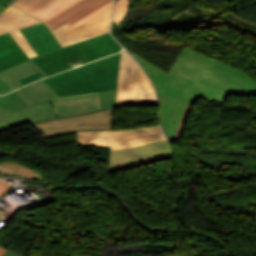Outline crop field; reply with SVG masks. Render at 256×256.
Returning a JSON list of instances; mask_svg holds the SVG:
<instances>
[{
  "label": "crop field",
  "instance_id": "crop-field-29",
  "mask_svg": "<svg viewBox=\"0 0 256 256\" xmlns=\"http://www.w3.org/2000/svg\"><path fill=\"white\" fill-rule=\"evenodd\" d=\"M5 251H6V249H3V248L1 247V248H0V256H2Z\"/></svg>",
  "mask_w": 256,
  "mask_h": 256
},
{
  "label": "crop field",
  "instance_id": "crop-field-27",
  "mask_svg": "<svg viewBox=\"0 0 256 256\" xmlns=\"http://www.w3.org/2000/svg\"><path fill=\"white\" fill-rule=\"evenodd\" d=\"M10 0H0V9L3 8Z\"/></svg>",
  "mask_w": 256,
  "mask_h": 256
},
{
  "label": "crop field",
  "instance_id": "crop-field-5",
  "mask_svg": "<svg viewBox=\"0 0 256 256\" xmlns=\"http://www.w3.org/2000/svg\"><path fill=\"white\" fill-rule=\"evenodd\" d=\"M164 139L159 125L120 131L77 132L78 145L111 149Z\"/></svg>",
  "mask_w": 256,
  "mask_h": 256
},
{
  "label": "crop field",
  "instance_id": "crop-field-22",
  "mask_svg": "<svg viewBox=\"0 0 256 256\" xmlns=\"http://www.w3.org/2000/svg\"><path fill=\"white\" fill-rule=\"evenodd\" d=\"M4 153H5L4 151L0 150V156H2ZM0 170L5 172L9 176H14V177H18V178H26V177H24V176H22V175H20V174H18L16 172H14V171H12V170L2 166L1 164H0Z\"/></svg>",
  "mask_w": 256,
  "mask_h": 256
},
{
  "label": "crop field",
  "instance_id": "crop-field-8",
  "mask_svg": "<svg viewBox=\"0 0 256 256\" xmlns=\"http://www.w3.org/2000/svg\"><path fill=\"white\" fill-rule=\"evenodd\" d=\"M173 154L166 140L111 150L109 170Z\"/></svg>",
  "mask_w": 256,
  "mask_h": 256
},
{
  "label": "crop field",
  "instance_id": "crop-field-13",
  "mask_svg": "<svg viewBox=\"0 0 256 256\" xmlns=\"http://www.w3.org/2000/svg\"><path fill=\"white\" fill-rule=\"evenodd\" d=\"M110 1L112 0H80L45 23L52 29L64 22L72 24Z\"/></svg>",
  "mask_w": 256,
  "mask_h": 256
},
{
  "label": "crop field",
  "instance_id": "crop-field-17",
  "mask_svg": "<svg viewBox=\"0 0 256 256\" xmlns=\"http://www.w3.org/2000/svg\"><path fill=\"white\" fill-rule=\"evenodd\" d=\"M39 71L45 77L47 75L39 68V66L32 60L25 61L3 71H0V77L13 89H17L22 85L17 79L27 76L29 74ZM43 77V78H45ZM42 79V78H41ZM39 80V79H38ZM37 81V80H36ZM35 82V81H34ZM32 83V82H31ZM30 84V83H29Z\"/></svg>",
  "mask_w": 256,
  "mask_h": 256
},
{
  "label": "crop field",
  "instance_id": "crop-field-10",
  "mask_svg": "<svg viewBox=\"0 0 256 256\" xmlns=\"http://www.w3.org/2000/svg\"><path fill=\"white\" fill-rule=\"evenodd\" d=\"M78 58H80L83 63L89 62L88 58L84 55L80 48L74 44L70 47L56 50L41 57L34 58L33 60L48 76H50L62 70L71 68L67 62Z\"/></svg>",
  "mask_w": 256,
  "mask_h": 256
},
{
  "label": "crop field",
  "instance_id": "crop-field-15",
  "mask_svg": "<svg viewBox=\"0 0 256 256\" xmlns=\"http://www.w3.org/2000/svg\"><path fill=\"white\" fill-rule=\"evenodd\" d=\"M90 61L121 51L109 33L77 44Z\"/></svg>",
  "mask_w": 256,
  "mask_h": 256
},
{
  "label": "crop field",
  "instance_id": "crop-field-28",
  "mask_svg": "<svg viewBox=\"0 0 256 256\" xmlns=\"http://www.w3.org/2000/svg\"><path fill=\"white\" fill-rule=\"evenodd\" d=\"M5 114H7V112L2 107H0V116Z\"/></svg>",
  "mask_w": 256,
  "mask_h": 256
},
{
  "label": "crop field",
  "instance_id": "crop-field-16",
  "mask_svg": "<svg viewBox=\"0 0 256 256\" xmlns=\"http://www.w3.org/2000/svg\"><path fill=\"white\" fill-rule=\"evenodd\" d=\"M28 59L9 33L0 35V70Z\"/></svg>",
  "mask_w": 256,
  "mask_h": 256
},
{
  "label": "crop field",
  "instance_id": "crop-field-7",
  "mask_svg": "<svg viewBox=\"0 0 256 256\" xmlns=\"http://www.w3.org/2000/svg\"><path fill=\"white\" fill-rule=\"evenodd\" d=\"M0 106L9 113L0 117V132L24 123L58 116L50 99L28 107L16 91L0 97Z\"/></svg>",
  "mask_w": 256,
  "mask_h": 256
},
{
  "label": "crop field",
  "instance_id": "crop-field-18",
  "mask_svg": "<svg viewBox=\"0 0 256 256\" xmlns=\"http://www.w3.org/2000/svg\"><path fill=\"white\" fill-rule=\"evenodd\" d=\"M27 105H32L40 101L59 96L43 80L25 86L17 90Z\"/></svg>",
  "mask_w": 256,
  "mask_h": 256
},
{
  "label": "crop field",
  "instance_id": "crop-field-3",
  "mask_svg": "<svg viewBox=\"0 0 256 256\" xmlns=\"http://www.w3.org/2000/svg\"><path fill=\"white\" fill-rule=\"evenodd\" d=\"M117 105H157L149 79L125 50L119 70Z\"/></svg>",
  "mask_w": 256,
  "mask_h": 256
},
{
  "label": "crop field",
  "instance_id": "crop-field-23",
  "mask_svg": "<svg viewBox=\"0 0 256 256\" xmlns=\"http://www.w3.org/2000/svg\"><path fill=\"white\" fill-rule=\"evenodd\" d=\"M43 77V75H41L39 72L35 73V74H32V75H29L27 77H24V78H21L19 79V81L21 82L22 85L26 84V83H29L33 80H36L38 78H41Z\"/></svg>",
  "mask_w": 256,
  "mask_h": 256
},
{
  "label": "crop field",
  "instance_id": "crop-field-31",
  "mask_svg": "<svg viewBox=\"0 0 256 256\" xmlns=\"http://www.w3.org/2000/svg\"><path fill=\"white\" fill-rule=\"evenodd\" d=\"M0 212L5 213L4 211H1V210H0Z\"/></svg>",
  "mask_w": 256,
  "mask_h": 256
},
{
  "label": "crop field",
  "instance_id": "crop-field-2",
  "mask_svg": "<svg viewBox=\"0 0 256 256\" xmlns=\"http://www.w3.org/2000/svg\"><path fill=\"white\" fill-rule=\"evenodd\" d=\"M121 53L44 79L60 96L117 89Z\"/></svg>",
  "mask_w": 256,
  "mask_h": 256
},
{
  "label": "crop field",
  "instance_id": "crop-field-11",
  "mask_svg": "<svg viewBox=\"0 0 256 256\" xmlns=\"http://www.w3.org/2000/svg\"><path fill=\"white\" fill-rule=\"evenodd\" d=\"M51 100L59 116L100 109L98 93L57 97Z\"/></svg>",
  "mask_w": 256,
  "mask_h": 256
},
{
  "label": "crop field",
  "instance_id": "crop-field-25",
  "mask_svg": "<svg viewBox=\"0 0 256 256\" xmlns=\"http://www.w3.org/2000/svg\"><path fill=\"white\" fill-rule=\"evenodd\" d=\"M9 185L5 183L4 181L0 180V196L9 189Z\"/></svg>",
  "mask_w": 256,
  "mask_h": 256
},
{
  "label": "crop field",
  "instance_id": "crop-field-26",
  "mask_svg": "<svg viewBox=\"0 0 256 256\" xmlns=\"http://www.w3.org/2000/svg\"><path fill=\"white\" fill-rule=\"evenodd\" d=\"M3 256H19V255L7 250Z\"/></svg>",
  "mask_w": 256,
  "mask_h": 256
},
{
  "label": "crop field",
  "instance_id": "crop-field-4",
  "mask_svg": "<svg viewBox=\"0 0 256 256\" xmlns=\"http://www.w3.org/2000/svg\"><path fill=\"white\" fill-rule=\"evenodd\" d=\"M114 108L31 123L46 139L76 131L112 130Z\"/></svg>",
  "mask_w": 256,
  "mask_h": 256
},
{
  "label": "crop field",
  "instance_id": "crop-field-21",
  "mask_svg": "<svg viewBox=\"0 0 256 256\" xmlns=\"http://www.w3.org/2000/svg\"><path fill=\"white\" fill-rule=\"evenodd\" d=\"M128 8V0H119L115 3L114 18L113 21L119 24Z\"/></svg>",
  "mask_w": 256,
  "mask_h": 256
},
{
  "label": "crop field",
  "instance_id": "crop-field-12",
  "mask_svg": "<svg viewBox=\"0 0 256 256\" xmlns=\"http://www.w3.org/2000/svg\"><path fill=\"white\" fill-rule=\"evenodd\" d=\"M78 0H16L12 4L46 21Z\"/></svg>",
  "mask_w": 256,
  "mask_h": 256
},
{
  "label": "crop field",
  "instance_id": "crop-field-6",
  "mask_svg": "<svg viewBox=\"0 0 256 256\" xmlns=\"http://www.w3.org/2000/svg\"><path fill=\"white\" fill-rule=\"evenodd\" d=\"M113 1L78 22L51 29L62 47L109 32Z\"/></svg>",
  "mask_w": 256,
  "mask_h": 256
},
{
  "label": "crop field",
  "instance_id": "crop-field-1",
  "mask_svg": "<svg viewBox=\"0 0 256 256\" xmlns=\"http://www.w3.org/2000/svg\"><path fill=\"white\" fill-rule=\"evenodd\" d=\"M127 51L153 82L158 117L170 142L180 140L189 110L199 98L226 102L229 95L256 96V80L189 49H183L168 72Z\"/></svg>",
  "mask_w": 256,
  "mask_h": 256
},
{
  "label": "crop field",
  "instance_id": "crop-field-20",
  "mask_svg": "<svg viewBox=\"0 0 256 256\" xmlns=\"http://www.w3.org/2000/svg\"><path fill=\"white\" fill-rule=\"evenodd\" d=\"M117 90L99 93L101 109L116 106Z\"/></svg>",
  "mask_w": 256,
  "mask_h": 256
},
{
  "label": "crop field",
  "instance_id": "crop-field-9",
  "mask_svg": "<svg viewBox=\"0 0 256 256\" xmlns=\"http://www.w3.org/2000/svg\"><path fill=\"white\" fill-rule=\"evenodd\" d=\"M38 23L41 22L19 10L18 8L10 5L8 9L0 16V34L9 32L24 50L26 55L31 58L33 56H37V54L27 43L19 29L33 26Z\"/></svg>",
  "mask_w": 256,
  "mask_h": 256
},
{
  "label": "crop field",
  "instance_id": "crop-field-14",
  "mask_svg": "<svg viewBox=\"0 0 256 256\" xmlns=\"http://www.w3.org/2000/svg\"><path fill=\"white\" fill-rule=\"evenodd\" d=\"M21 32L38 55L62 48L43 23L22 29Z\"/></svg>",
  "mask_w": 256,
  "mask_h": 256
},
{
  "label": "crop field",
  "instance_id": "crop-field-32",
  "mask_svg": "<svg viewBox=\"0 0 256 256\" xmlns=\"http://www.w3.org/2000/svg\"><path fill=\"white\" fill-rule=\"evenodd\" d=\"M0 214H2V213H0Z\"/></svg>",
  "mask_w": 256,
  "mask_h": 256
},
{
  "label": "crop field",
  "instance_id": "crop-field-19",
  "mask_svg": "<svg viewBox=\"0 0 256 256\" xmlns=\"http://www.w3.org/2000/svg\"><path fill=\"white\" fill-rule=\"evenodd\" d=\"M1 164L10 168V169H12V170H14V171H16V172H18V173H20V174H23V175L31 178L32 180L41 181V182H43L45 180V179L43 180L42 176L38 172H36V171H34L30 168H27V167H25V166H23V165H21L17 162L5 161Z\"/></svg>",
  "mask_w": 256,
  "mask_h": 256
},
{
  "label": "crop field",
  "instance_id": "crop-field-24",
  "mask_svg": "<svg viewBox=\"0 0 256 256\" xmlns=\"http://www.w3.org/2000/svg\"><path fill=\"white\" fill-rule=\"evenodd\" d=\"M12 91V89L0 78V95Z\"/></svg>",
  "mask_w": 256,
  "mask_h": 256
},
{
  "label": "crop field",
  "instance_id": "crop-field-30",
  "mask_svg": "<svg viewBox=\"0 0 256 256\" xmlns=\"http://www.w3.org/2000/svg\"><path fill=\"white\" fill-rule=\"evenodd\" d=\"M0 174L6 175V174H4V173H2V172H0Z\"/></svg>",
  "mask_w": 256,
  "mask_h": 256
}]
</instances>
